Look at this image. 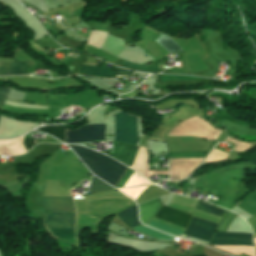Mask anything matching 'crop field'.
<instances>
[{
	"instance_id": "obj_1",
	"label": "crop field",
	"mask_w": 256,
	"mask_h": 256,
	"mask_svg": "<svg viewBox=\"0 0 256 256\" xmlns=\"http://www.w3.org/2000/svg\"><path fill=\"white\" fill-rule=\"evenodd\" d=\"M76 153L77 155L85 162V164L89 167V169L92 171L93 174L98 176L99 178L103 179L107 183L111 185H115V183L118 181L115 178L119 179V177L125 172L126 168L125 166L117 163L116 161L108 158L105 155L93 152L91 150L86 149V151L91 155V157L95 160V162L106 172L110 173L114 177H112L110 174L104 172L95 162L94 160L89 156V154L84 150L83 147L80 146H71L69 145Z\"/></svg>"
},
{
	"instance_id": "obj_2",
	"label": "crop field",
	"mask_w": 256,
	"mask_h": 256,
	"mask_svg": "<svg viewBox=\"0 0 256 256\" xmlns=\"http://www.w3.org/2000/svg\"><path fill=\"white\" fill-rule=\"evenodd\" d=\"M219 134L220 131L211 128L201 119L194 117L184 121L183 123L170 130L168 136L194 135L209 140H216Z\"/></svg>"
},
{
	"instance_id": "obj_3",
	"label": "crop field",
	"mask_w": 256,
	"mask_h": 256,
	"mask_svg": "<svg viewBox=\"0 0 256 256\" xmlns=\"http://www.w3.org/2000/svg\"><path fill=\"white\" fill-rule=\"evenodd\" d=\"M47 230L73 229L74 214L49 213L44 221ZM55 239L75 238L73 230L48 231Z\"/></svg>"
},
{
	"instance_id": "obj_4",
	"label": "crop field",
	"mask_w": 256,
	"mask_h": 256,
	"mask_svg": "<svg viewBox=\"0 0 256 256\" xmlns=\"http://www.w3.org/2000/svg\"><path fill=\"white\" fill-rule=\"evenodd\" d=\"M115 140L136 145L137 121L135 116L124 112L115 115Z\"/></svg>"
},
{
	"instance_id": "obj_5",
	"label": "crop field",
	"mask_w": 256,
	"mask_h": 256,
	"mask_svg": "<svg viewBox=\"0 0 256 256\" xmlns=\"http://www.w3.org/2000/svg\"><path fill=\"white\" fill-rule=\"evenodd\" d=\"M105 124L83 126L78 130L67 131L66 142H92L96 140H105Z\"/></svg>"
},
{
	"instance_id": "obj_6",
	"label": "crop field",
	"mask_w": 256,
	"mask_h": 256,
	"mask_svg": "<svg viewBox=\"0 0 256 256\" xmlns=\"http://www.w3.org/2000/svg\"><path fill=\"white\" fill-rule=\"evenodd\" d=\"M203 159H170V179L184 180Z\"/></svg>"
},
{
	"instance_id": "obj_7",
	"label": "crop field",
	"mask_w": 256,
	"mask_h": 256,
	"mask_svg": "<svg viewBox=\"0 0 256 256\" xmlns=\"http://www.w3.org/2000/svg\"><path fill=\"white\" fill-rule=\"evenodd\" d=\"M216 227L217 224L193 217L184 235L209 242V238L211 237Z\"/></svg>"
},
{
	"instance_id": "obj_8",
	"label": "crop field",
	"mask_w": 256,
	"mask_h": 256,
	"mask_svg": "<svg viewBox=\"0 0 256 256\" xmlns=\"http://www.w3.org/2000/svg\"><path fill=\"white\" fill-rule=\"evenodd\" d=\"M155 217L177 224L184 228L187 227V224L191 218V216L188 214H185L175 209L165 207L163 205L159 210V212L155 215Z\"/></svg>"
},
{
	"instance_id": "obj_9",
	"label": "crop field",
	"mask_w": 256,
	"mask_h": 256,
	"mask_svg": "<svg viewBox=\"0 0 256 256\" xmlns=\"http://www.w3.org/2000/svg\"><path fill=\"white\" fill-rule=\"evenodd\" d=\"M44 208L51 212H73L74 206L71 198H42Z\"/></svg>"
},
{
	"instance_id": "obj_10",
	"label": "crop field",
	"mask_w": 256,
	"mask_h": 256,
	"mask_svg": "<svg viewBox=\"0 0 256 256\" xmlns=\"http://www.w3.org/2000/svg\"><path fill=\"white\" fill-rule=\"evenodd\" d=\"M130 168L143 174L147 178L150 177L152 174L168 175V172L148 171L149 163H148L147 153H146L145 149L141 148V147H140L139 152L133 162V165Z\"/></svg>"
},
{
	"instance_id": "obj_11",
	"label": "crop field",
	"mask_w": 256,
	"mask_h": 256,
	"mask_svg": "<svg viewBox=\"0 0 256 256\" xmlns=\"http://www.w3.org/2000/svg\"><path fill=\"white\" fill-rule=\"evenodd\" d=\"M136 152L137 147L135 146L117 143L113 158L130 167L135 158Z\"/></svg>"
},
{
	"instance_id": "obj_12",
	"label": "crop field",
	"mask_w": 256,
	"mask_h": 256,
	"mask_svg": "<svg viewBox=\"0 0 256 256\" xmlns=\"http://www.w3.org/2000/svg\"><path fill=\"white\" fill-rule=\"evenodd\" d=\"M26 153L23 147V137L10 141H0V155H20Z\"/></svg>"
},
{
	"instance_id": "obj_13",
	"label": "crop field",
	"mask_w": 256,
	"mask_h": 256,
	"mask_svg": "<svg viewBox=\"0 0 256 256\" xmlns=\"http://www.w3.org/2000/svg\"><path fill=\"white\" fill-rule=\"evenodd\" d=\"M161 205L159 198L139 205L141 221L146 224L157 213Z\"/></svg>"
},
{
	"instance_id": "obj_14",
	"label": "crop field",
	"mask_w": 256,
	"mask_h": 256,
	"mask_svg": "<svg viewBox=\"0 0 256 256\" xmlns=\"http://www.w3.org/2000/svg\"><path fill=\"white\" fill-rule=\"evenodd\" d=\"M167 54L181 53L183 50L167 35H161L154 40Z\"/></svg>"
},
{
	"instance_id": "obj_15",
	"label": "crop field",
	"mask_w": 256,
	"mask_h": 256,
	"mask_svg": "<svg viewBox=\"0 0 256 256\" xmlns=\"http://www.w3.org/2000/svg\"><path fill=\"white\" fill-rule=\"evenodd\" d=\"M33 65L32 61L22 62V63H0V75H12L16 73H24L22 67H27ZM28 74V73H24ZM22 75V74H16Z\"/></svg>"
},
{
	"instance_id": "obj_16",
	"label": "crop field",
	"mask_w": 256,
	"mask_h": 256,
	"mask_svg": "<svg viewBox=\"0 0 256 256\" xmlns=\"http://www.w3.org/2000/svg\"><path fill=\"white\" fill-rule=\"evenodd\" d=\"M117 215L130 229L137 225H141L137 219V210L135 206L130 207Z\"/></svg>"
},
{
	"instance_id": "obj_17",
	"label": "crop field",
	"mask_w": 256,
	"mask_h": 256,
	"mask_svg": "<svg viewBox=\"0 0 256 256\" xmlns=\"http://www.w3.org/2000/svg\"><path fill=\"white\" fill-rule=\"evenodd\" d=\"M217 249L225 251L227 253L240 255L241 253H246L250 256H255L253 247L250 246H213Z\"/></svg>"
},
{
	"instance_id": "obj_18",
	"label": "crop field",
	"mask_w": 256,
	"mask_h": 256,
	"mask_svg": "<svg viewBox=\"0 0 256 256\" xmlns=\"http://www.w3.org/2000/svg\"><path fill=\"white\" fill-rule=\"evenodd\" d=\"M67 128L62 125L40 127L37 130L52 135L65 142L64 132Z\"/></svg>"
},
{
	"instance_id": "obj_19",
	"label": "crop field",
	"mask_w": 256,
	"mask_h": 256,
	"mask_svg": "<svg viewBox=\"0 0 256 256\" xmlns=\"http://www.w3.org/2000/svg\"><path fill=\"white\" fill-rule=\"evenodd\" d=\"M93 65V64H91ZM114 70L109 69H97L96 66L84 65L83 66V74L88 75H100V76H113Z\"/></svg>"
},
{
	"instance_id": "obj_20",
	"label": "crop field",
	"mask_w": 256,
	"mask_h": 256,
	"mask_svg": "<svg viewBox=\"0 0 256 256\" xmlns=\"http://www.w3.org/2000/svg\"><path fill=\"white\" fill-rule=\"evenodd\" d=\"M133 230H135L137 232L144 233V234H146L148 236H151V237H154V238H158V239H163V240L173 239V237H171V236L161 234L159 232H156V231H154L152 229H149L147 227H144V226L135 227V228H133Z\"/></svg>"
},
{
	"instance_id": "obj_21",
	"label": "crop field",
	"mask_w": 256,
	"mask_h": 256,
	"mask_svg": "<svg viewBox=\"0 0 256 256\" xmlns=\"http://www.w3.org/2000/svg\"><path fill=\"white\" fill-rule=\"evenodd\" d=\"M196 209H199V210H202V211H205V212H209V213H212V214H215V215H218V216H222L225 213V211L220 210L216 207H213V206L208 205V204H206L204 202H201V201L198 202V205H197Z\"/></svg>"
},
{
	"instance_id": "obj_22",
	"label": "crop field",
	"mask_w": 256,
	"mask_h": 256,
	"mask_svg": "<svg viewBox=\"0 0 256 256\" xmlns=\"http://www.w3.org/2000/svg\"><path fill=\"white\" fill-rule=\"evenodd\" d=\"M252 234L246 233H216L214 238H234L251 240Z\"/></svg>"
},
{
	"instance_id": "obj_23",
	"label": "crop field",
	"mask_w": 256,
	"mask_h": 256,
	"mask_svg": "<svg viewBox=\"0 0 256 256\" xmlns=\"http://www.w3.org/2000/svg\"><path fill=\"white\" fill-rule=\"evenodd\" d=\"M110 189H113V188L109 187L99 179L93 177L89 190H91L92 192H98V191H105Z\"/></svg>"
},
{
	"instance_id": "obj_24",
	"label": "crop field",
	"mask_w": 256,
	"mask_h": 256,
	"mask_svg": "<svg viewBox=\"0 0 256 256\" xmlns=\"http://www.w3.org/2000/svg\"><path fill=\"white\" fill-rule=\"evenodd\" d=\"M148 225H150L152 227H155V228H158L160 230L166 231L168 233L174 234L176 236H179L181 233H183L182 231H180L178 229H175V228H172V227H169V226H166V225L154 222L152 220L148 223Z\"/></svg>"
},
{
	"instance_id": "obj_25",
	"label": "crop field",
	"mask_w": 256,
	"mask_h": 256,
	"mask_svg": "<svg viewBox=\"0 0 256 256\" xmlns=\"http://www.w3.org/2000/svg\"><path fill=\"white\" fill-rule=\"evenodd\" d=\"M229 154L219 152L215 149L209 154L205 162L225 161Z\"/></svg>"
},
{
	"instance_id": "obj_26",
	"label": "crop field",
	"mask_w": 256,
	"mask_h": 256,
	"mask_svg": "<svg viewBox=\"0 0 256 256\" xmlns=\"http://www.w3.org/2000/svg\"><path fill=\"white\" fill-rule=\"evenodd\" d=\"M148 186H136V187H131V188H125V189H120L124 193H126L128 196H130L133 199H137L138 195L147 188Z\"/></svg>"
},
{
	"instance_id": "obj_27",
	"label": "crop field",
	"mask_w": 256,
	"mask_h": 256,
	"mask_svg": "<svg viewBox=\"0 0 256 256\" xmlns=\"http://www.w3.org/2000/svg\"><path fill=\"white\" fill-rule=\"evenodd\" d=\"M210 244L211 245H250L252 246V242L236 241V240H212Z\"/></svg>"
},
{
	"instance_id": "obj_28",
	"label": "crop field",
	"mask_w": 256,
	"mask_h": 256,
	"mask_svg": "<svg viewBox=\"0 0 256 256\" xmlns=\"http://www.w3.org/2000/svg\"><path fill=\"white\" fill-rule=\"evenodd\" d=\"M138 184H151V183L135 172L133 176L128 180L125 187L131 186V185H138Z\"/></svg>"
},
{
	"instance_id": "obj_29",
	"label": "crop field",
	"mask_w": 256,
	"mask_h": 256,
	"mask_svg": "<svg viewBox=\"0 0 256 256\" xmlns=\"http://www.w3.org/2000/svg\"><path fill=\"white\" fill-rule=\"evenodd\" d=\"M126 67H130V68H133V69H138V70H144V71H155V70H158V66L157 67H154V66H150V65H147V64H143V65H137V64H132V63H128L126 62L125 65ZM160 69H163V65L159 66Z\"/></svg>"
},
{
	"instance_id": "obj_30",
	"label": "crop field",
	"mask_w": 256,
	"mask_h": 256,
	"mask_svg": "<svg viewBox=\"0 0 256 256\" xmlns=\"http://www.w3.org/2000/svg\"><path fill=\"white\" fill-rule=\"evenodd\" d=\"M24 100L34 102V103H46L45 96L37 95V94H27Z\"/></svg>"
},
{
	"instance_id": "obj_31",
	"label": "crop field",
	"mask_w": 256,
	"mask_h": 256,
	"mask_svg": "<svg viewBox=\"0 0 256 256\" xmlns=\"http://www.w3.org/2000/svg\"><path fill=\"white\" fill-rule=\"evenodd\" d=\"M227 141L236 145L234 148V150H236V151H244L250 147V144H245V143H242V142L230 139V138H228Z\"/></svg>"
},
{
	"instance_id": "obj_32",
	"label": "crop field",
	"mask_w": 256,
	"mask_h": 256,
	"mask_svg": "<svg viewBox=\"0 0 256 256\" xmlns=\"http://www.w3.org/2000/svg\"><path fill=\"white\" fill-rule=\"evenodd\" d=\"M25 141H26V147H27V150H28L32 145L37 144L38 140L25 138Z\"/></svg>"
},
{
	"instance_id": "obj_33",
	"label": "crop field",
	"mask_w": 256,
	"mask_h": 256,
	"mask_svg": "<svg viewBox=\"0 0 256 256\" xmlns=\"http://www.w3.org/2000/svg\"><path fill=\"white\" fill-rule=\"evenodd\" d=\"M9 89H1L0 88V97H4L6 96L7 92H8Z\"/></svg>"
},
{
	"instance_id": "obj_34",
	"label": "crop field",
	"mask_w": 256,
	"mask_h": 256,
	"mask_svg": "<svg viewBox=\"0 0 256 256\" xmlns=\"http://www.w3.org/2000/svg\"><path fill=\"white\" fill-rule=\"evenodd\" d=\"M3 101H4V100L0 99V106H1V107H2V105H3Z\"/></svg>"
},
{
	"instance_id": "obj_35",
	"label": "crop field",
	"mask_w": 256,
	"mask_h": 256,
	"mask_svg": "<svg viewBox=\"0 0 256 256\" xmlns=\"http://www.w3.org/2000/svg\"><path fill=\"white\" fill-rule=\"evenodd\" d=\"M35 44V43H34ZM37 45V44H36ZM37 46H39V45H37ZM40 47V46H39ZM41 48V47H40Z\"/></svg>"
},
{
	"instance_id": "obj_36",
	"label": "crop field",
	"mask_w": 256,
	"mask_h": 256,
	"mask_svg": "<svg viewBox=\"0 0 256 256\" xmlns=\"http://www.w3.org/2000/svg\"><path fill=\"white\" fill-rule=\"evenodd\" d=\"M255 244H256V239H255Z\"/></svg>"
}]
</instances>
